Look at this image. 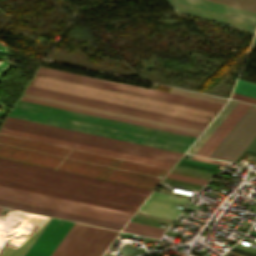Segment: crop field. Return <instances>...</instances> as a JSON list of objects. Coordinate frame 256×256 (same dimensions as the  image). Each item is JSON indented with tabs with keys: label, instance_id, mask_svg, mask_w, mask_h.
Here are the masks:
<instances>
[{
	"label": "crop field",
	"instance_id": "e52e79f7",
	"mask_svg": "<svg viewBox=\"0 0 256 256\" xmlns=\"http://www.w3.org/2000/svg\"><path fill=\"white\" fill-rule=\"evenodd\" d=\"M15 107L25 109V110L45 113V114H49V115L69 118V119H73V120L88 122V123H92V124L112 127V128H116V129L131 131V132H135V133L155 136V137H159V138L179 141V142L188 143V144H191L196 139L195 136L185 135V134H181V133L156 129V128H152V127L127 123V122H123V121H118V120H113V119H108V118H103V117H98V116H93V115H89V114L64 110V109H60V108L35 104V103L21 101V100H18Z\"/></svg>",
	"mask_w": 256,
	"mask_h": 256
},
{
	"label": "crop field",
	"instance_id": "5142ce71",
	"mask_svg": "<svg viewBox=\"0 0 256 256\" xmlns=\"http://www.w3.org/2000/svg\"><path fill=\"white\" fill-rule=\"evenodd\" d=\"M50 219L51 218H49L44 227L47 225ZM44 227L41 229V231L44 229ZM41 231L38 233V235L41 233ZM38 235L34 236L16 232V234L2 251L0 256H23L32 245V243L35 241V239L38 237Z\"/></svg>",
	"mask_w": 256,
	"mask_h": 256
},
{
	"label": "crop field",
	"instance_id": "8a807250",
	"mask_svg": "<svg viewBox=\"0 0 256 256\" xmlns=\"http://www.w3.org/2000/svg\"><path fill=\"white\" fill-rule=\"evenodd\" d=\"M0 158L150 190L174 165L2 127Z\"/></svg>",
	"mask_w": 256,
	"mask_h": 256
},
{
	"label": "crop field",
	"instance_id": "28ad6ade",
	"mask_svg": "<svg viewBox=\"0 0 256 256\" xmlns=\"http://www.w3.org/2000/svg\"><path fill=\"white\" fill-rule=\"evenodd\" d=\"M0 205L6 206V207H11V208H16V209H21V210H25V211H30V212L55 216V217H59V218L89 223V224H93V225L108 227V228H112V229H116V230H120L123 226L122 224H117V223H113V222H108V221L98 220V219H94V218L79 216V215H75V214L60 212V211H56V210L27 205V204H23V203L8 201V200H4V199H0Z\"/></svg>",
	"mask_w": 256,
	"mask_h": 256
},
{
	"label": "crop field",
	"instance_id": "412701ff",
	"mask_svg": "<svg viewBox=\"0 0 256 256\" xmlns=\"http://www.w3.org/2000/svg\"><path fill=\"white\" fill-rule=\"evenodd\" d=\"M2 127L176 163L181 153L7 117Z\"/></svg>",
	"mask_w": 256,
	"mask_h": 256
},
{
	"label": "crop field",
	"instance_id": "92a150f3",
	"mask_svg": "<svg viewBox=\"0 0 256 256\" xmlns=\"http://www.w3.org/2000/svg\"><path fill=\"white\" fill-rule=\"evenodd\" d=\"M244 103L238 102L237 105L233 108V110L228 114V116L224 119V121L220 124V126L215 130V132L211 135V137L207 140V142L202 146V148L198 151L197 154L202 155L204 151L209 147V145L215 140V138L220 134V132L226 127V125L231 121V119L237 114V112L242 108Z\"/></svg>",
	"mask_w": 256,
	"mask_h": 256
},
{
	"label": "crop field",
	"instance_id": "34b2d1b8",
	"mask_svg": "<svg viewBox=\"0 0 256 256\" xmlns=\"http://www.w3.org/2000/svg\"><path fill=\"white\" fill-rule=\"evenodd\" d=\"M29 85L69 93L73 95L98 99L102 101L127 105L131 107L156 111L160 113L185 117L207 123L216 114L215 112L139 97L121 92L106 90L102 88L87 86L69 81L54 79L37 74L34 76ZM207 116H210L211 118H208Z\"/></svg>",
	"mask_w": 256,
	"mask_h": 256
},
{
	"label": "crop field",
	"instance_id": "cbeb9de0",
	"mask_svg": "<svg viewBox=\"0 0 256 256\" xmlns=\"http://www.w3.org/2000/svg\"><path fill=\"white\" fill-rule=\"evenodd\" d=\"M40 69L50 71V72L60 73V74H64V75L79 77V78H83V79L93 80V81H97V82L107 83V84H111V85L126 87V88H130V89L140 90V91H144V92H149V93H154V94H159V95H164V96H169V97H174V98H179V99H184V100H189V101H194V102H199V103H204V104H209V105H214V106H219V107H222V105H223L222 103H217V102H212V101H207V100H202V99H197V98H192V97H187V96H182V95H177V94H172V93H167V92H162V91L153 90V89H145V88L125 85V84H121V83H116V82H111V81H106V80H101V79H96V78L85 77V76H81V75L66 73V72L52 70V69L43 68V67H40Z\"/></svg>",
	"mask_w": 256,
	"mask_h": 256
},
{
	"label": "crop field",
	"instance_id": "5a996713",
	"mask_svg": "<svg viewBox=\"0 0 256 256\" xmlns=\"http://www.w3.org/2000/svg\"><path fill=\"white\" fill-rule=\"evenodd\" d=\"M180 10L221 20L250 29H256V13L208 0H168Z\"/></svg>",
	"mask_w": 256,
	"mask_h": 256
},
{
	"label": "crop field",
	"instance_id": "bd1437ed",
	"mask_svg": "<svg viewBox=\"0 0 256 256\" xmlns=\"http://www.w3.org/2000/svg\"><path fill=\"white\" fill-rule=\"evenodd\" d=\"M180 163H177V165L217 173L216 172L217 170L216 171H212L213 169L212 170H207L208 168L207 169H203L204 167L203 168H198L199 166L198 167H193L194 165L193 166H189L190 164L189 165H184L185 163L184 164H180Z\"/></svg>",
	"mask_w": 256,
	"mask_h": 256
},
{
	"label": "crop field",
	"instance_id": "1d83c4d3",
	"mask_svg": "<svg viewBox=\"0 0 256 256\" xmlns=\"http://www.w3.org/2000/svg\"><path fill=\"white\" fill-rule=\"evenodd\" d=\"M249 234H252V235H255V236H256V232H255V231H252V230H250Z\"/></svg>",
	"mask_w": 256,
	"mask_h": 256
},
{
	"label": "crop field",
	"instance_id": "ac0d7876",
	"mask_svg": "<svg viewBox=\"0 0 256 256\" xmlns=\"http://www.w3.org/2000/svg\"><path fill=\"white\" fill-rule=\"evenodd\" d=\"M0 185L131 213L151 192L3 159Z\"/></svg>",
	"mask_w": 256,
	"mask_h": 256
},
{
	"label": "crop field",
	"instance_id": "730fd06b",
	"mask_svg": "<svg viewBox=\"0 0 256 256\" xmlns=\"http://www.w3.org/2000/svg\"><path fill=\"white\" fill-rule=\"evenodd\" d=\"M152 198H157V199H162V200H168V201H173V202H178V203H183L187 204L190 199L174 196V195H169L161 192L154 191V193L150 196Z\"/></svg>",
	"mask_w": 256,
	"mask_h": 256
},
{
	"label": "crop field",
	"instance_id": "22f410ed",
	"mask_svg": "<svg viewBox=\"0 0 256 256\" xmlns=\"http://www.w3.org/2000/svg\"><path fill=\"white\" fill-rule=\"evenodd\" d=\"M25 92L35 94V95L45 96V97H49V98L64 100V101H68V102L78 103V104H82V105L97 107V108H101V109L111 110V111H115V112L125 113V114H129V115H134V116L144 117V118H148V119L158 120V121H162V122H167V123L177 124V125H181V126L191 127V128H195V129L203 130V128H204L203 126H198V125H194V124H189V123L179 122V121H175V120L160 118V117H156V116L146 115V114L127 111V110L118 109V108L108 107V106H104V105L89 103V102H85V101L70 99V98H66V97H61V96H56V95H52V94L37 92V91H33V90L26 89Z\"/></svg>",
	"mask_w": 256,
	"mask_h": 256
},
{
	"label": "crop field",
	"instance_id": "a9b5d70f",
	"mask_svg": "<svg viewBox=\"0 0 256 256\" xmlns=\"http://www.w3.org/2000/svg\"><path fill=\"white\" fill-rule=\"evenodd\" d=\"M234 92L256 98V84L239 79Z\"/></svg>",
	"mask_w": 256,
	"mask_h": 256
},
{
	"label": "crop field",
	"instance_id": "eef30255",
	"mask_svg": "<svg viewBox=\"0 0 256 256\" xmlns=\"http://www.w3.org/2000/svg\"><path fill=\"white\" fill-rule=\"evenodd\" d=\"M167 177L177 179V180L192 182V183H196V184H201V185H204V183L206 182L205 180L187 177V176H183V175H178V174H174V173L169 174Z\"/></svg>",
	"mask_w": 256,
	"mask_h": 256
},
{
	"label": "crop field",
	"instance_id": "bc2a9ffb",
	"mask_svg": "<svg viewBox=\"0 0 256 256\" xmlns=\"http://www.w3.org/2000/svg\"><path fill=\"white\" fill-rule=\"evenodd\" d=\"M27 88H28V89L37 90V91H42V92L52 93V94H56V95H61V96H66V97H71V98H75V99L85 100V101H89V102H94V103L104 104V105H108V106H113V107L123 108V109H127V110H132V111L142 112V113H146V114H151V115L161 116V117H165V118L175 119V120H179V121H184V122L194 123V124H198V125H203V126H206V125H207L206 123H201V122H197V121H192V120L182 119V118H178V117H173V116H168V115L158 114V113H154V112H149V111L139 110V109H135V108H130V107L120 106V105H116V104H111V103L101 102V101H97V100H92V99L82 98V97H78V96H73V95H68V94L58 93V92H54V91H49V90L39 89V88H35V87L27 86Z\"/></svg>",
	"mask_w": 256,
	"mask_h": 256
},
{
	"label": "crop field",
	"instance_id": "dafd665d",
	"mask_svg": "<svg viewBox=\"0 0 256 256\" xmlns=\"http://www.w3.org/2000/svg\"><path fill=\"white\" fill-rule=\"evenodd\" d=\"M250 105L245 104L243 108L238 112V114L232 119V121L227 125V127L221 132V134L216 138V140L210 145V147L203 154L204 156H209L210 153L215 149V147L220 143V141L225 137L229 130L234 126V124L239 120V118L244 114V112L249 108Z\"/></svg>",
	"mask_w": 256,
	"mask_h": 256
},
{
	"label": "crop field",
	"instance_id": "dd49c442",
	"mask_svg": "<svg viewBox=\"0 0 256 256\" xmlns=\"http://www.w3.org/2000/svg\"><path fill=\"white\" fill-rule=\"evenodd\" d=\"M0 198L125 224L131 213L0 186Z\"/></svg>",
	"mask_w": 256,
	"mask_h": 256
},
{
	"label": "crop field",
	"instance_id": "750c4746",
	"mask_svg": "<svg viewBox=\"0 0 256 256\" xmlns=\"http://www.w3.org/2000/svg\"><path fill=\"white\" fill-rule=\"evenodd\" d=\"M230 251L240 253V254H243V255H246V256H256V254H253V253H250V252H247V251L235 248V247H233Z\"/></svg>",
	"mask_w": 256,
	"mask_h": 256
},
{
	"label": "crop field",
	"instance_id": "ae1a2a85",
	"mask_svg": "<svg viewBox=\"0 0 256 256\" xmlns=\"http://www.w3.org/2000/svg\"><path fill=\"white\" fill-rule=\"evenodd\" d=\"M193 159H197V160H202V161H206V162H211V163H215V164H222V165H226L228 163L226 162H222V161H217V160H213V159H208V158H204V157H199V156H192Z\"/></svg>",
	"mask_w": 256,
	"mask_h": 256
},
{
	"label": "crop field",
	"instance_id": "733c2abd",
	"mask_svg": "<svg viewBox=\"0 0 256 256\" xmlns=\"http://www.w3.org/2000/svg\"><path fill=\"white\" fill-rule=\"evenodd\" d=\"M21 99H22V100H27V101L36 102V103H41V104L56 106V107H60V108H65V109L80 111V112H84V113H89V114H94V115L109 117V118H113V119H118V120L133 122V123H137V124H142V125L157 127V128H161V129H166V130L181 132V133H185V134H190V135H195V136H198V135H199L198 133H193V132H189V131L174 129V128L165 127V126H160V125H156V124H151V123L141 122V121H137V120L122 118V117L113 116V115L103 114V113H99V112L84 110V109H80V108H75V107H70V106H66V105L51 103V102H47V101L32 99V98H28V97H23V96H22Z\"/></svg>",
	"mask_w": 256,
	"mask_h": 256
},
{
	"label": "crop field",
	"instance_id": "120bbe31",
	"mask_svg": "<svg viewBox=\"0 0 256 256\" xmlns=\"http://www.w3.org/2000/svg\"><path fill=\"white\" fill-rule=\"evenodd\" d=\"M252 230H255V231H256V229H253V228H252Z\"/></svg>",
	"mask_w": 256,
	"mask_h": 256
},
{
	"label": "crop field",
	"instance_id": "4a817a6b",
	"mask_svg": "<svg viewBox=\"0 0 256 256\" xmlns=\"http://www.w3.org/2000/svg\"><path fill=\"white\" fill-rule=\"evenodd\" d=\"M237 101L229 100L224 108L219 112L215 119L210 123V125L205 129V131L200 135V137L195 141V143L190 147L187 152L196 154L201 146L206 142L214 130L219 126L227 114L236 105Z\"/></svg>",
	"mask_w": 256,
	"mask_h": 256
},
{
	"label": "crop field",
	"instance_id": "214f88e0",
	"mask_svg": "<svg viewBox=\"0 0 256 256\" xmlns=\"http://www.w3.org/2000/svg\"><path fill=\"white\" fill-rule=\"evenodd\" d=\"M22 95H24V96H29V97H33V98H38V99H43V100H47V101L62 103V104H66V105L76 106V107H80V108L95 110V111H99V112L109 113V114H113V115L123 116V117H127V118L142 120V121H146V122H151V123H156V124H160V125H165V126H170V127H175V128H179V129H184V130H189V131L201 133L200 130H195V129H191V128L181 127V126H177V125L162 123V122L153 121V120H148V119L139 118V117H134V116H129V115L120 114V113H115V112L106 111V110H101V109H97V108L82 106V105H78V104H73V103H68V102H64V101L49 99V98L40 97V96H35V95H31V94H26V93H23Z\"/></svg>",
	"mask_w": 256,
	"mask_h": 256
},
{
	"label": "crop field",
	"instance_id": "d3111659",
	"mask_svg": "<svg viewBox=\"0 0 256 256\" xmlns=\"http://www.w3.org/2000/svg\"><path fill=\"white\" fill-rule=\"evenodd\" d=\"M232 97L256 104V99L254 98L246 97V96L235 94V93L233 94Z\"/></svg>",
	"mask_w": 256,
	"mask_h": 256
},
{
	"label": "crop field",
	"instance_id": "4177f3b9",
	"mask_svg": "<svg viewBox=\"0 0 256 256\" xmlns=\"http://www.w3.org/2000/svg\"><path fill=\"white\" fill-rule=\"evenodd\" d=\"M171 92L177 93V94H182V95H187V96H192V97H197V98H202V99H207V100H212V101H217V102H222V103H225V101L227 100L225 98L202 95V94L185 91V90H181V89H176V88H172Z\"/></svg>",
	"mask_w": 256,
	"mask_h": 256
},
{
	"label": "crop field",
	"instance_id": "3316defc",
	"mask_svg": "<svg viewBox=\"0 0 256 256\" xmlns=\"http://www.w3.org/2000/svg\"><path fill=\"white\" fill-rule=\"evenodd\" d=\"M72 225V222L52 218L25 256H50Z\"/></svg>",
	"mask_w": 256,
	"mask_h": 256
},
{
	"label": "crop field",
	"instance_id": "d1516ede",
	"mask_svg": "<svg viewBox=\"0 0 256 256\" xmlns=\"http://www.w3.org/2000/svg\"><path fill=\"white\" fill-rule=\"evenodd\" d=\"M37 73L47 75V76L57 77V78H61V79L71 80V81H75V82L85 83V84H89V85L99 86V87H103V88L113 89V90H117V91L127 92V93H131V94L141 95V96H145V97L155 98V99H159V100L169 101V102H173V103L183 104V105H187V106L197 107V108H201V109L211 110V111H215V112H218L220 109L219 107L203 105V104H198V103H193V102H188V101H183V100H178V99H173V98H167V97H162V96H157V95H152V94H147V93H143V92L119 88V87H115V86H110V85H106V84L82 80V79H78V78H73V77H69V76L45 72V71H41V70H38Z\"/></svg>",
	"mask_w": 256,
	"mask_h": 256
},
{
	"label": "crop field",
	"instance_id": "d8731c3e",
	"mask_svg": "<svg viewBox=\"0 0 256 256\" xmlns=\"http://www.w3.org/2000/svg\"><path fill=\"white\" fill-rule=\"evenodd\" d=\"M117 233L74 223L51 256H101Z\"/></svg>",
	"mask_w": 256,
	"mask_h": 256
},
{
	"label": "crop field",
	"instance_id": "d9b57169",
	"mask_svg": "<svg viewBox=\"0 0 256 256\" xmlns=\"http://www.w3.org/2000/svg\"><path fill=\"white\" fill-rule=\"evenodd\" d=\"M172 206V203L148 198L137 212L174 219L181 209Z\"/></svg>",
	"mask_w": 256,
	"mask_h": 256
},
{
	"label": "crop field",
	"instance_id": "00972430",
	"mask_svg": "<svg viewBox=\"0 0 256 256\" xmlns=\"http://www.w3.org/2000/svg\"><path fill=\"white\" fill-rule=\"evenodd\" d=\"M230 6L256 12V0H211Z\"/></svg>",
	"mask_w": 256,
	"mask_h": 256
},
{
	"label": "crop field",
	"instance_id": "f4fd0767",
	"mask_svg": "<svg viewBox=\"0 0 256 256\" xmlns=\"http://www.w3.org/2000/svg\"><path fill=\"white\" fill-rule=\"evenodd\" d=\"M10 117L184 153L188 144L13 108Z\"/></svg>",
	"mask_w": 256,
	"mask_h": 256
}]
</instances>
